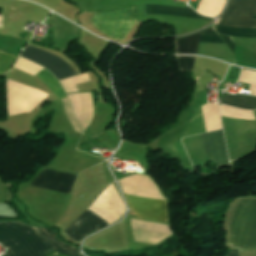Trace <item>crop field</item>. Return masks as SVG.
Listing matches in <instances>:
<instances>
[{
  "label": "crop field",
  "mask_w": 256,
  "mask_h": 256,
  "mask_svg": "<svg viewBox=\"0 0 256 256\" xmlns=\"http://www.w3.org/2000/svg\"><path fill=\"white\" fill-rule=\"evenodd\" d=\"M20 223H0V243L8 249L3 256H40L43 244L37 240L59 251L83 256L77 249L60 242L48 229L21 223L36 240ZM47 245L44 246L42 256H73Z\"/></svg>",
  "instance_id": "8a807250"
},
{
  "label": "crop field",
  "mask_w": 256,
  "mask_h": 256,
  "mask_svg": "<svg viewBox=\"0 0 256 256\" xmlns=\"http://www.w3.org/2000/svg\"><path fill=\"white\" fill-rule=\"evenodd\" d=\"M228 245L256 248V198L240 199L228 213Z\"/></svg>",
  "instance_id": "ac0d7876"
},
{
  "label": "crop field",
  "mask_w": 256,
  "mask_h": 256,
  "mask_svg": "<svg viewBox=\"0 0 256 256\" xmlns=\"http://www.w3.org/2000/svg\"><path fill=\"white\" fill-rule=\"evenodd\" d=\"M135 21V10L132 7L104 13H95L93 24L105 35L124 41Z\"/></svg>",
  "instance_id": "34b2d1b8"
},
{
  "label": "crop field",
  "mask_w": 256,
  "mask_h": 256,
  "mask_svg": "<svg viewBox=\"0 0 256 256\" xmlns=\"http://www.w3.org/2000/svg\"><path fill=\"white\" fill-rule=\"evenodd\" d=\"M256 0H231L219 24L232 27H256Z\"/></svg>",
  "instance_id": "412701ff"
},
{
  "label": "crop field",
  "mask_w": 256,
  "mask_h": 256,
  "mask_svg": "<svg viewBox=\"0 0 256 256\" xmlns=\"http://www.w3.org/2000/svg\"><path fill=\"white\" fill-rule=\"evenodd\" d=\"M126 195V194H125ZM134 214L143 219L168 222L167 200L126 195Z\"/></svg>",
  "instance_id": "f4fd0767"
},
{
  "label": "crop field",
  "mask_w": 256,
  "mask_h": 256,
  "mask_svg": "<svg viewBox=\"0 0 256 256\" xmlns=\"http://www.w3.org/2000/svg\"><path fill=\"white\" fill-rule=\"evenodd\" d=\"M22 56L52 71L58 80L76 75L74 70L65 62L30 45L23 51Z\"/></svg>",
  "instance_id": "dd49c442"
},
{
  "label": "crop field",
  "mask_w": 256,
  "mask_h": 256,
  "mask_svg": "<svg viewBox=\"0 0 256 256\" xmlns=\"http://www.w3.org/2000/svg\"><path fill=\"white\" fill-rule=\"evenodd\" d=\"M75 177L74 175L44 169L30 185L69 194Z\"/></svg>",
  "instance_id": "e52e79f7"
},
{
  "label": "crop field",
  "mask_w": 256,
  "mask_h": 256,
  "mask_svg": "<svg viewBox=\"0 0 256 256\" xmlns=\"http://www.w3.org/2000/svg\"><path fill=\"white\" fill-rule=\"evenodd\" d=\"M106 225H108V223L88 209L66 229L64 234L78 242L87 234Z\"/></svg>",
  "instance_id": "d8731c3e"
},
{
  "label": "crop field",
  "mask_w": 256,
  "mask_h": 256,
  "mask_svg": "<svg viewBox=\"0 0 256 256\" xmlns=\"http://www.w3.org/2000/svg\"><path fill=\"white\" fill-rule=\"evenodd\" d=\"M200 136L209 160L215 162L217 168L229 165L222 130Z\"/></svg>",
  "instance_id": "5a996713"
},
{
  "label": "crop field",
  "mask_w": 256,
  "mask_h": 256,
  "mask_svg": "<svg viewBox=\"0 0 256 256\" xmlns=\"http://www.w3.org/2000/svg\"><path fill=\"white\" fill-rule=\"evenodd\" d=\"M147 7V14H168L174 16H185L191 18H203L209 19L210 18L201 16L193 11L191 8L185 7H173V6H164V5H146Z\"/></svg>",
  "instance_id": "3316defc"
},
{
  "label": "crop field",
  "mask_w": 256,
  "mask_h": 256,
  "mask_svg": "<svg viewBox=\"0 0 256 256\" xmlns=\"http://www.w3.org/2000/svg\"><path fill=\"white\" fill-rule=\"evenodd\" d=\"M213 28H209L205 31L196 33L192 36L181 37L176 39L177 54H197L198 45L201 33L213 31Z\"/></svg>",
  "instance_id": "28ad6ade"
},
{
  "label": "crop field",
  "mask_w": 256,
  "mask_h": 256,
  "mask_svg": "<svg viewBox=\"0 0 256 256\" xmlns=\"http://www.w3.org/2000/svg\"><path fill=\"white\" fill-rule=\"evenodd\" d=\"M220 102L242 109H256V97L226 95Z\"/></svg>",
  "instance_id": "d1516ede"
},
{
  "label": "crop field",
  "mask_w": 256,
  "mask_h": 256,
  "mask_svg": "<svg viewBox=\"0 0 256 256\" xmlns=\"http://www.w3.org/2000/svg\"><path fill=\"white\" fill-rule=\"evenodd\" d=\"M60 99L65 97V93L56 78L47 70H42L36 74Z\"/></svg>",
  "instance_id": "22f410ed"
},
{
  "label": "crop field",
  "mask_w": 256,
  "mask_h": 256,
  "mask_svg": "<svg viewBox=\"0 0 256 256\" xmlns=\"http://www.w3.org/2000/svg\"><path fill=\"white\" fill-rule=\"evenodd\" d=\"M215 29L217 30L218 33H221V34L249 37V38L256 37V28H231V27L216 25Z\"/></svg>",
  "instance_id": "cbeb9de0"
},
{
  "label": "crop field",
  "mask_w": 256,
  "mask_h": 256,
  "mask_svg": "<svg viewBox=\"0 0 256 256\" xmlns=\"http://www.w3.org/2000/svg\"><path fill=\"white\" fill-rule=\"evenodd\" d=\"M15 59V56L0 51V74L6 72Z\"/></svg>",
  "instance_id": "5142ce71"
},
{
  "label": "crop field",
  "mask_w": 256,
  "mask_h": 256,
  "mask_svg": "<svg viewBox=\"0 0 256 256\" xmlns=\"http://www.w3.org/2000/svg\"><path fill=\"white\" fill-rule=\"evenodd\" d=\"M182 71H192L194 64V56H177Z\"/></svg>",
  "instance_id": "d9b57169"
},
{
  "label": "crop field",
  "mask_w": 256,
  "mask_h": 256,
  "mask_svg": "<svg viewBox=\"0 0 256 256\" xmlns=\"http://www.w3.org/2000/svg\"><path fill=\"white\" fill-rule=\"evenodd\" d=\"M200 42H206V43H225L219 37V35L216 33V31L202 34Z\"/></svg>",
  "instance_id": "733c2abd"
},
{
  "label": "crop field",
  "mask_w": 256,
  "mask_h": 256,
  "mask_svg": "<svg viewBox=\"0 0 256 256\" xmlns=\"http://www.w3.org/2000/svg\"><path fill=\"white\" fill-rule=\"evenodd\" d=\"M221 37L226 41V43L228 44V46L230 47V49L234 53V49H235L236 44L232 43L229 37H226V36H221Z\"/></svg>",
  "instance_id": "4a817a6b"
},
{
  "label": "crop field",
  "mask_w": 256,
  "mask_h": 256,
  "mask_svg": "<svg viewBox=\"0 0 256 256\" xmlns=\"http://www.w3.org/2000/svg\"><path fill=\"white\" fill-rule=\"evenodd\" d=\"M227 256H239L238 250H232L229 253H227Z\"/></svg>",
  "instance_id": "bc2a9ffb"
}]
</instances>
